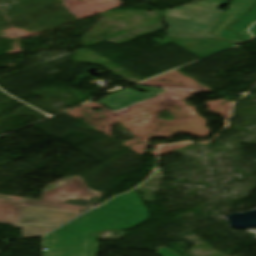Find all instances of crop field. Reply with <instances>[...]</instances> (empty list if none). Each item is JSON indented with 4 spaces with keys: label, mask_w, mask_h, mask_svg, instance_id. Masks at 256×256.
I'll list each match as a JSON object with an SVG mask.
<instances>
[{
    "label": "crop field",
    "mask_w": 256,
    "mask_h": 256,
    "mask_svg": "<svg viewBox=\"0 0 256 256\" xmlns=\"http://www.w3.org/2000/svg\"><path fill=\"white\" fill-rule=\"evenodd\" d=\"M256 22V6L246 14L237 24L231 25L229 29L235 30L241 36L243 41H246L251 38L247 33V28Z\"/></svg>",
    "instance_id": "10"
},
{
    "label": "crop field",
    "mask_w": 256,
    "mask_h": 256,
    "mask_svg": "<svg viewBox=\"0 0 256 256\" xmlns=\"http://www.w3.org/2000/svg\"><path fill=\"white\" fill-rule=\"evenodd\" d=\"M22 206L76 213L84 208L11 196L10 201H0V221L13 224Z\"/></svg>",
    "instance_id": "4"
},
{
    "label": "crop field",
    "mask_w": 256,
    "mask_h": 256,
    "mask_svg": "<svg viewBox=\"0 0 256 256\" xmlns=\"http://www.w3.org/2000/svg\"><path fill=\"white\" fill-rule=\"evenodd\" d=\"M12 226L21 228L22 237L42 235L50 231V229L37 228V227H25V226H15V225H12Z\"/></svg>",
    "instance_id": "11"
},
{
    "label": "crop field",
    "mask_w": 256,
    "mask_h": 256,
    "mask_svg": "<svg viewBox=\"0 0 256 256\" xmlns=\"http://www.w3.org/2000/svg\"><path fill=\"white\" fill-rule=\"evenodd\" d=\"M156 254H158L160 256H177L176 254H174L173 252L169 251L166 248H159L158 252H156Z\"/></svg>",
    "instance_id": "15"
},
{
    "label": "crop field",
    "mask_w": 256,
    "mask_h": 256,
    "mask_svg": "<svg viewBox=\"0 0 256 256\" xmlns=\"http://www.w3.org/2000/svg\"><path fill=\"white\" fill-rule=\"evenodd\" d=\"M164 16L191 19L187 14H185L182 11L170 10V9L165 10Z\"/></svg>",
    "instance_id": "13"
},
{
    "label": "crop field",
    "mask_w": 256,
    "mask_h": 256,
    "mask_svg": "<svg viewBox=\"0 0 256 256\" xmlns=\"http://www.w3.org/2000/svg\"><path fill=\"white\" fill-rule=\"evenodd\" d=\"M255 2L256 0H233L210 33L220 37L226 30L225 28L235 22Z\"/></svg>",
    "instance_id": "8"
},
{
    "label": "crop field",
    "mask_w": 256,
    "mask_h": 256,
    "mask_svg": "<svg viewBox=\"0 0 256 256\" xmlns=\"http://www.w3.org/2000/svg\"><path fill=\"white\" fill-rule=\"evenodd\" d=\"M100 194L90 191L79 177H69L41 200L88 207L96 203Z\"/></svg>",
    "instance_id": "2"
},
{
    "label": "crop field",
    "mask_w": 256,
    "mask_h": 256,
    "mask_svg": "<svg viewBox=\"0 0 256 256\" xmlns=\"http://www.w3.org/2000/svg\"><path fill=\"white\" fill-rule=\"evenodd\" d=\"M1 199L9 200V199H10V196H7V195H0V200H1Z\"/></svg>",
    "instance_id": "18"
},
{
    "label": "crop field",
    "mask_w": 256,
    "mask_h": 256,
    "mask_svg": "<svg viewBox=\"0 0 256 256\" xmlns=\"http://www.w3.org/2000/svg\"><path fill=\"white\" fill-rule=\"evenodd\" d=\"M227 3H229V2L223 1V0H206V1H203V2H200V3H197V4H200V5L218 10L217 8L219 6H222V5L227 4ZM218 11H220V10H218Z\"/></svg>",
    "instance_id": "12"
},
{
    "label": "crop field",
    "mask_w": 256,
    "mask_h": 256,
    "mask_svg": "<svg viewBox=\"0 0 256 256\" xmlns=\"http://www.w3.org/2000/svg\"><path fill=\"white\" fill-rule=\"evenodd\" d=\"M174 9L183 10L189 16H191L194 21L211 26H214V24L216 23L215 21L221 14V12L205 8L196 4L182 6Z\"/></svg>",
    "instance_id": "9"
},
{
    "label": "crop field",
    "mask_w": 256,
    "mask_h": 256,
    "mask_svg": "<svg viewBox=\"0 0 256 256\" xmlns=\"http://www.w3.org/2000/svg\"><path fill=\"white\" fill-rule=\"evenodd\" d=\"M76 215L78 214L23 207L15 224L55 229Z\"/></svg>",
    "instance_id": "3"
},
{
    "label": "crop field",
    "mask_w": 256,
    "mask_h": 256,
    "mask_svg": "<svg viewBox=\"0 0 256 256\" xmlns=\"http://www.w3.org/2000/svg\"><path fill=\"white\" fill-rule=\"evenodd\" d=\"M173 43L202 58L236 45L219 39L179 40Z\"/></svg>",
    "instance_id": "7"
},
{
    "label": "crop field",
    "mask_w": 256,
    "mask_h": 256,
    "mask_svg": "<svg viewBox=\"0 0 256 256\" xmlns=\"http://www.w3.org/2000/svg\"><path fill=\"white\" fill-rule=\"evenodd\" d=\"M168 23L169 29L166 31L169 35L181 39H195V38H211L209 34L212 29L211 26L202 25L190 20H182L175 18L164 17Z\"/></svg>",
    "instance_id": "5"
},
{
    "label": "crop field",
    "mask_w": 256,
    "mask_h": 256,
    "mask_svg": "<svg viewBox=\"0 0 256 256\" xmlns=\"http://www.w3.org/2000/svg\"><path fill=\"white\" fill-rule=\"evenodd\" d=\"M134 87L145 89L149 91L151 94L150 95L141 94V93L133 92L126 89L124 91L108 95L106 98L102 99L100 103L105 107L115 111L120 108L132 105L134 103L143 101L145 99H148L150 97H153L155 95L165 92V91L157 90L150 87H142V86H134Z\"/></svg>",
    "instance_id": "6"
},
{
    "label": "crop field",
    "mask_w": 256,
    "mask_h": 256,
    "mask_svg": "<svg viewBox=\"0 0 256 256\" xmlns=\"http://www.w3.org/2000/svg\"><path fill=\"white\" fill-rule=\"evenodd\" d=\"M177 40H179V39H176V38H173V37L165 36L163 40H156V42H157L158 44L162 45V44H165V43H167V42H170V41L173 42V41H177Z\"/></svg>",
    "instance_id": "16"
},
{
    "label": "crop field",
    "mask_w": 256,
    "mask_h": 256,
    "mask_svg": "<svg viewBox=\"0 0 256 256\" xmlns=\"http://www.w3.org/2000/svg\"><path fill=\"white\" fill-rule=\"evenodd\" d=\"M148 218L134 191L112 199L86 215L44 237V256H96L99 244L92 233L129 229Z\"/></svg>",
    "instance_id": "1"
},
{
    "label": "crop field",
    "mask_w": 256,
    "mask_h": 256,
    "mask_svg": "<svg viewBox=\"0 0 256 256\" xmlns=\"http://www.w3.org/2000/svg\"><path fill=\"white\" fill-rule=\"evenodd\" d=\"M220 38L242 43V41L238 39V35H236L233 31L226 30Z\"/></svg>",
    "instance_id": "14"
},
{
    "label": "crop field",
    "mask_w": 256,
    "mask_h": 256,
    "mask_svg": "<svg viewBox=\"0 0 256 256\" xmlns=\"http://www.w3.org/2000/svg\"><path fill=\"white\" fill-rule=\"evenodd\" d=\"M250 32L256 37V25L251 27Z\"/></svg>",
    "instance_id": "17"
}]
</instances>
